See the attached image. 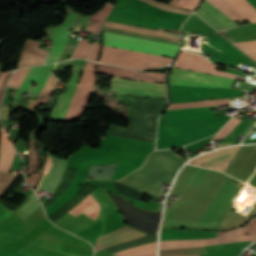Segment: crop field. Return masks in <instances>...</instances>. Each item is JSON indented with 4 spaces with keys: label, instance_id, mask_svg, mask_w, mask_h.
Instances as JSON below:
<instances>
[{
    "label": "crop field",
    "instance_id": "obj_1",
    "mask_svg": "<svg viewBox=\"0 0 256 256\" xmlns=\"http://www.w3.org/2000/svg\"><path fill=\"white\" fill-rule=\"evenodd\" d=\"M186 160L176 156L171 149L152 152L145 165L118 182L151 196H158L163 182L171 183Z\"/></svg>",
    "mask_w": 256,
    "mask_h": 256
},
{
    "label": "crop field",
    "instance_id": "obj_2",
    "mask_svg": "<svg viewBox=\"0 0 256 256\" xmlns=\"http://www.w3.org/2000/svg\"><path fill=\"white\" fill-rule=\"evenodd\" d=\"M103 44L174 58L179 46L150 40L103 33Z\"/></svg>",
    "mask_w": 256,
    "mask_h": 256
},
{
    "label": "crop field",
    "instance_id": "obj_3",
    "mask_svg": "<svg viewBox=\"0 0 256 256\" xmlns=\"http://www.w3.org/2000/svg\"><path fill=\"white\" fill-rule=\"evenodd\" d=\"M95 62L87 61L77 91L69 106L64 122L75 121L82 117L91 91L96 81Z\"/></svg>",
    "mask_w": 256,
    "mask_h": 256
},
{
    "label": "crop field",
    "instance_id": "obj_4",
    "mask_svg": "<svg viewBox=\"0 0 256 256\" xmlns=\"http://www.w3.org/2000/svg\"><path fill=\"white\" fill-rule=\"evenodd\" d=\"M241 90L170 85L171 103L241 96Z\"/></svg>",
    "mask_w": 256,
    "mask_h": 256
},
{
    "label": "crop field",
    "instance_id": "obj_5",
    "mask_svg": "<svg viewBox=\"0 0 256 256\" xmlns=\"http://www.w3.org/2000/svg\"><path fill=\"white\" fill-rule=\"evenodd\" d=\"M169 80L170 84L220 88H232L236 81L220 76H209L174 68H172V75H169Z\"/></svg>",
    "mask_w": 256,
    "mask_h": 256
},
{
    "label": "crop field",
    "instance_id": "obj_6",
    "mask_svg": "<svg viewBox=\"0 0 256 256\" xmlns=\"http://www.w3.org/2000/svg\"><path fill=\"white\" fill-rule=\"evenodd\" d=\"M74 60L65 61L57 63L56 68L54 69L53 73L55 71L63 72L64 69L68 66H73L71 77L67 83V90L61 94H59L56 103L54 105V108L52 110V113L50 115V119L56 121V120H64L66 110L69 106V103L73 97L76 85L78 83L79 77L83 71V66L75 65L73 64Z\"/></svg>",
    "mask_w": 256,
    "mask_h": 256
},
{
    "label": "crop field",
    "instance_id": "obj_7",
    "mask_svg": "<svg viewBox=\"0 0 256 256\" xmlns=\"http://www.w3.org/2000/svg\"><path fill=\"white\" fill-rule=\"evenodd\" d=\"M117 34L179 45L180 35L106 21L103 30Z\"/></svg>",
    "mask_w": 256,
    "mask_h": 256
},
{
    "label": "crop field",
    "instance_id": "obj_8",
    "mask_svg": "<svg viewBox=\"0 0 256 256\" xmlns=\"http://www.w3.org/2000/svg\"><path fill=\"white\" fill-rule=\"evenodd\" d=\"M111 90L115 93L166 98L165 84L129 81L114 77Z\"/></svg>",
    "mask_w": 256,
    "mask_h": 256
},
{
    "label": "crop field",
    "instance_id": "obj_9",
    "mask_svg": "<svg viewBox=\"0 0 256 256\" xmlns=\"http://www.w3.org/2000/svg\"><path fill=\"white\" fill-rule=\"evenodd\" d=\"M51 154V153H50ZM48 153L43 174L40 178L36 193L42 189L54 193L67 165L68 160L57 158Z\"/></svg>",
    "mask_w": 256,
    "mask_h": 256
},
{
    "label": "crop field",
    "instance_id": "obj_10",
    "mask_svg": "<svg viewBox=\"0 0 256 256\" xmlns=\"http://www.w3.org/2000/svg\"><path fill=\"white\" fill-rule=\"evenodd\" d=\"M70 12L67 20L62 25L48 29L46 32L53 38L54 44L52 46V49L49 53V56L47 58V61L45 64L52 63L58 61L65 45L68 42V39L73 31L69 32V27L72 25L74 26L75 20L79 17V14L73 12L72 10H68Z\"/></svg>",
    "mask_w": 256,
    "mask_h": 256
},
{
    "label": "crop field",
    "instance_id": "obj_11",
    "mask_svg": "<svg viewBox=\"0 0 256 256\" xmlns=\"http://www.w3.org/2000/svg\"><path fill=\"white\" fill-rule=\"evenodd\" d=\"M97 72L100 74L112 75L135 80L165 83V74L160 73L141 72L133 69L102 64H99Z\"/></svg>",
    "mask_w": 256,
    "mask_h": 256
},
{
    "label": "crop field",
    "instance_id": "obj_12",
    "mask_svg": "<svg viewBox=\"0 0 256 256\" xmlns=\"http://www.w3.org/2000/svg\"><path fill=\"white\" fill-rule=\"evenodd\" d=\"M240 146L214 151L196 158L188 163L223 170L229 164Z\"/></svg>",
    "mask_w": 256,
    "mask_h": 256
},
{
    "label": "crop field",
    "instance_id": "obj_13",
    "mask_svg": "<svg viewBox=\"0 0 256 256\" xmlns=\"http://www.w3.org/2000/svg\"><path fill=\"white\" fill-rule=\"evenodd\" d=\"M255 235H241L232 237L211 238L205 240H177V241H161L160 249L191 247V246H208L236 241L253 240Z\"/></svg>",
    "mask_w": 256,
    "mask_h": 256
},
{
    "label": "crop field",
    "instance_id": "obj_14",
    "mask_svg": "<svg viewBox=\"0 0 256 256\" xmlns=\"http://www.w3.org/2000/svg\"><path fill=\"white\" fill-rule=\"evenodd\" d=\"M55 64L46 65V66H40V67H34L31 68V70L26 75L24 81L22 82L21 86L19 87L15 99H19V95L28 89L31 82H37L38 85L36 87H32L29 92H31L30 96H36L43 88L51 70ZM14 99V100H15Z\"/></svg>",
    "mask_w": 256,
    "mask_h": 256
},
{
    "label": "crop field",
    "instance_id": "obj_15",
    "mask_svg": "<svg viewBox=\"0 0 256 256\" xmlns=\"http://www.w3.org/2000/svg\"><path fill=\"white\" fill-rule=\"evenodd\" d=\"M195 14L219 31L238 26L207 1H204Z\"/></svg>",
    "mask_w": 256,
    "mask_h": 256
},
{
    "label": "crop field",
    "instance_id": "obj_16",
    "mask_svg": "<svg viewBox=\"0 0 256 256\" xmlns=\"http://www.w3.org/2000/svg\"><path fill=\"white\" fill-rule=\"evenodd\" d=\"M144 235L146 234L128 227H123L108 235L100 236L94 249L97 252L103 248L110 247Z\"/></svg>",
    "mask_w": 256,
    "mask_h": 256
},
{
    "label": "crop field",
    "instance_id": "obj_17",
    "mask_svg": "<svg viewBox=\"0 0 256 256\" xmlns=\"http://www.w3.org/2000/svg\"><path fill=\"white\" fill-rule=\"evenodd\" d=\"M39 44L40 42H25L17 69L44 63L47 52L45 49L39 48Z\"/></svg>",
    "mask_w": 256,
    "mask_h": 256
},
{
    "label": "crop field",
    "instance_id": "obj_18",
    "mask_svg": "<svg viewBox=\"0 0 256 256\" xmlns=\"http://www.w3.org/2000/svg\"><path fill=\"white\" fill-rule=\"evenodd\" d=\"M0 133V170L8 172L16 151L12 143L9 141V137L3 128H1Z\"/></svg>",
    "mask_w": 256,
    "mask_h": 256
},
{
    "label": "crop field",
    "instance_id": "obj_19",
    "mask_svg": "<svg viewBox=\"0 0 256 256\" xmlns=\"http://www.w3.org/2000/svg\"><path fill=\"white\" fill-rule=\"evenodd\" d=\"M224 1H226L229 5H231L237 11H239L241 14L247 17L250 23L256 22V10L245 0H224Z\"/></svg>",
    "mask_w": 256,
    "mask_h": 256
},
{
    "label": "crop field",
    "instance_id": "obj_20",
    "mask_svg": "<svg viewBox=\"0 0 256 256\" xmlns=\"http://www.w3.org/2000/svg\"><path fill=\"white\" fill-rule=\"evenodd\" d=\"M57 83H58V80L54 78L53 75L51 74L43 92L39 95L37 101H30L28 107L32 108L34 111L37 104H40V103L47 104Z\"/></svg>",
    "mask_w": 256,
    "mask_h": 256
},
{
    "label": "crop field",
    "instance_id": "obj_21",
    "mask_svg": "<svg viewBox=\"0 0 256 256\" xmlns=\"http://www.w3.org/2000/svg\"><path fill=\"white\" fill-rule=\"evenodd\" d=\"M156 254V242L124 250L114 255L117 256H147Z\"/></svg>",
    "mask_w": 256,
    "mask_h": 256
},
{
    "label": "crop field",
    "instance_id": "obj_22",
    "mask_svg": "<svg viewBox=\"0 0 256 256\" xmlns=\"http://www.w3.org/2000/svg\"><path fill=\"white\" fill-rule=\"evenodd\" d=\"M113 5L111 4H107L106 7L102 10V11H98L99 13L91 16V20L90 22H94L93 26H88V31L90 32H93V33H99L100 32V29L106 19V17L108 16L111 8H112ZM114 7V6H113ZM113 9V8H112ZM112 11V10H111Z\"/></svg>",
    "mask_w": 256,
    "mask_h": 256
},
{
    "label": "crop field",
    "instance_id": "obj_23",
    "mask_svg": "<svg viewBox=\"0 0 256 256\" xmlns=\"http://www.w3.org/2000/svg\"><path fill=\"white\" fill-rule=\"evenodd\" d=\"M211 4H213L215 7H217L219 10H221L224 14H226L228 17H230L232 20H240L241 22L247 20L243 15H241L239 12H237L235 9H233L231 6H229L227 3H225L223 0H207Z\"/></svg>",
    "mask_w": 256,
    "mask_h": 256
},
{
    "label": "crop field",
    "instance_id": "obj_24",
    "mask_svg": "<svg viewBox=\"0 0 256 256\" xmlns=\"http://www.w3.org/2000/svg\"><path fill=\"white\" fill-rule=\"evenodd\" d=\"M190 254H206V249L204 247H199V248H187V249L160 250V256H179V255H190Z\"/></svg>",
    "mask_w": 256,
    "mask_h": 256
},
{
    "label": "crop field",
    "instance_id": "obj_25",
    "mask_svg": "<svg viewBox=\"0 0 256 256\" xmlns=\"http://www.w3.org/2000/svg\"><path fill=\"white\" fill-rule=\"evenodd\" d=\"M226 103H229L228 99L193 102V103H186V104H176V105H170L168 110L182 109V108H192V107H202V106L222 105V104H226Z\"/></svg>",
    "mask_w": 256,
    "mask_h": 256
},
{
    "label": "crop field",
    "instance_id": "obj_26",
    "mask_svg": "<svg viewBox=\"0 0 256 256\" xmlns=\"http://www.w3.org/2000/svg\"><path fill=\"white\" fill-rule=\"evenodd\" d=\"M250 122H251V120H248V119L244 118L238 124V126L220 142V144L217 147H221V146H226V145L232 144L234 139L242 133V131L246 128V126Z\"/></svg>",
    "mask_w": 256,
    "mask_h": 256
},
{
    "label": "crop field",
    "instance_id": "obj_27",
    "mask_svg": "<svg viewBox=\"0 0 256 256\" xmlns=\"http://www.w3.org/2000/svg\"><path fill=\"white\" fill-rule=\"evenodd\" d=\"M237 229L240 232V234H242V232L243 234H256V218L250 220L246 227L240 228L242 232L239 230V228ZM237 229L229 232H218L217 237L239 235V232L237 231ZM253 241H256V238Z\"/></svg>",
    "mask_w": 256,
    "mask_h": 256
},
{
    "label": "crop field",
    "instance_id": "obj_28",
    "mask_svg": "<svg viewBox=\"0 0 256 256\" xmlns=\"http://www.w3.org/2000/svg\"><path fill=\"white\" fill-rule=\"evenodd\" d=\"M35 141L30 140L29 143V154H28V167L26 174H32L38 168L39 156L37 152L33 150Z\"/></svg>",
    "mask_w": 256,
    "mask_h": 256
},
{
    "label": "crop field",
    "instance_id": "obj_29",
    "mask_svg": "<svg viewBox=\"0 0 256 256\" xmlns=\"http://www.w3.org/2000/svg\"><path fill=\"white\" fill-rule=\"evenodd\" d=\"M256 62V41L233 43Z\"/></svg>",
    "mask_w": 256,
    "mask_h": 256
},
{
    "label": "crop field",
    "instance_id": "obj_30",
    "mask_svg": "<svg viewBox=\"0 0 256 256\" xmlns=\"http://www.w3.org/2000/svg\"><path fill=\"white\" fill-rule=\"evenodd\" d=\"M241 120L233 118L226 126H224L212 139L211 141L221 139L230 133Z\"/></svg>",
    "mask_w": 256,
    "mask_h": 256
},
{
    "label": "crop field",
    "instance_id": "obj_31",
    "mask_svg": "<svg viewBox=\"0 0 256 256\" xmlns=\"http://www.w3.org/2000/svg\"><path fill=\"white\" fill-rule=\"evenodd\" d=\"M88 40L86 39H82L79 46H78V49L74 55L73 58H83V59H86L90 50H91V46L92 44L90 43H87Z\"/></svg>",
    "mask_w": 256,
    "mask_h": 256
},
{
    "label": "crop field",
    "instance_id": "obj_32",
    "mask_svg": "<svg viewBox=\"0 0 256 256\" xmlns=\"http://www.w3.org/2000/svg\"><path fill=\"white\" fill-rule=\"evenodd\" d=\"M29 70L30 68L20 69L16 71L11 82L9 81L10 82L9 87L18 89L19 85L21 84L22 80L24 79L25 75Z\"/></svg>",
    "mask_w": 256,
    "mask_h": 256
},
{
    "label": "crop field",
    "instance_id": "obj_33",
    "mask_svg": "<svg viewBox=\"0 0 256 256\" xmlns=\"http://www.w3.org/2000/svg\"><path fill=\"white\" fill-rule=\"evenodd\" d=\"M40 202L37 199V197L35 196V194L29 198L21 207L20 209L28 212V213H32L35 209H37L40 206Z\"/></svg>",
    "mask_w": 256,
    "mask_h": 256
},
{
    "label": "crop field",
    "instance_id": "obj_34",
    "mask_svg": "<svg viewBox=\"0 0 256 256\" xmlns=\"http://www.w3.org/2000/svg\"><path fill=\"white\" fill-rule=\"evenodd\" d=\"M162 10H167V11H173V12H180V13H186V14H190V12L188 11H184V10H180V9H176V8H173V7H170L168 5H165V4H162L160 2H157V1H154V0H144Z\"/></svg>",
    "mask_w": 256,
    "mask_h": 256
},
{
    "label": "crop field",
    "instance_id": "obj_35",
    "mask_svg": "<svg viewBox=\"0 0 256 256\" xmlns=\"http://www.w3.org/2000/svg\"><path fill=\"white\" fill-rule=\"evenodd\" d=\"M13 72L3 73L0 77V103L2 101L6 85Z\"/></svg>",
    "mask_w": 256,
    "mask_h": 256
},
{
    "label": "crop field",
    "instance_id": "obj_36",
    "mask_svg": "<svg viewBox=\"0 0 256 256\" xmlns=\"http://www.w3.org/2000/svg\"><path fill=\"white\" fill-rule=\"evenodd\" d=\"M14 176L15 174L0 172V194L3 192V190L6 188V186L9 184Z\"/></svg>",
    "mask_w": 256,
    "mask_h": 256
},
{
    "label": "crop field",
    "instance_id": "obj_37",
    "mask_svg": "<svg viewBox=\"0 0 256 256\" xmlns=\"http://www.w3.org/2000/svg\"><path fill=\"white\" fill-rule=\"evenodd\" d=\"M41 158H42V163H41L39 172L36 174H33L31 177L26 179V181L29 183V185L32 187V189H34V187L38 181L39 175L41 173V170H42V166H43V162H44V155H41Z\"/></svg>",
    "mask_w": 256,
    "mask_h": 256
},
{
    "label": "crop field",
    "instance_id": "obj_38",
    "mask_svg": "<svg viewBox=\"0 0 256 256\" xmlns=\"http://www.w3.org/2000/svg\"><path fill=\"white\" fill-rule=\"evenodd\" d=\"M99 51H100V44L95 43L94 46H93V49L91 51L89 59L96 61L97 57H98V54H99Z\"/></svg>",
    "mask_w": 256,
    "mask_h": 256
},
{
    "label": "crop field",
    "instance_id": "obj_39",
    "mask_svg": "<svg viewBox=\"0 0 256 256\" xmlns=\"http://www.w3.org/2000/svg\"><path fill=\"white\" fill-rule=\"evenodd\" d=\"M5 234H2L1 232H0V237H2V236H4Z\"/></svg>",
    "mask_w": 256,
    "mask_h": 256
},
{
    "label": "crop field",
    "instance_id": "obj_40",
    "mask_svg": "<svg viewBox=\"0 0 256 256\" xmlns=\"http://www.w3.org/2000/svg\"><path fill=\"white\" fill-rule=\"evenodd\" d=\"M190 256H198V255H190Z\"/></svg>",
    "mask_w": 256,
    "mask_h": 256
},
{
    "label": "crop field",
    "instance_id": "obj_41",
    "mask_svg": "<svg viewBox=\"0 0 256 256\" xmlns=\"http://www.w3.org/2000/svg\"><path fill=\"white\" fill-rule=\"evenodd\" d=\"M153 256H156V255H153Z\"/></svg>",
    "mask_w": 256,
    "mask_h": 256
}]
</instances>
